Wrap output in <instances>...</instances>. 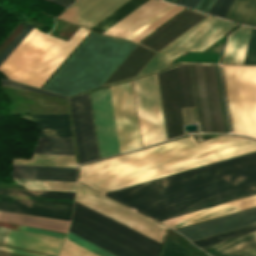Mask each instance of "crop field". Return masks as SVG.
<instances>
[{
	"label": "crop field",
	"mask_w": 256,
	"mask_h": 256,
	"mask_svg": "<svg viewBox=\"0 0 256 256\" xmlns=\"http://www.w3.org/2000/svg\"><path fill=\"white\" fill-rule=\"evenodd\" d=\"M256 191V152L105 193L152 219Z\"/></svg>",
	"instance_id": "obj_1"
},
{
	"label": "crop field",
	"mask_w": 256,
	"mask_h": 256,
	"mask_svg": "<svg viewBox=\"0 0 256 256\" xmlns=\"http://www.w3.org/2000/svg\"><path fill=\"white\" fill-rule=\"evenodd\" d=\"M135 45L91 33L44 89L72 96L99 87Z\"/></svg>",
	"instance_id": "obj_2"
},
{
	"label": "crop field",
	"mask_w": 256,
	"mask_h": 256,
	"mask_svg": "<svg viewBox=\"0 0 256 256\" xmlns=\"http://www.w3.org/2000/svg\"><path fill=\"white\" fill-rule=\"evenodd\" d=\"M120 152L140 148L131 81L110 87ZM109 87L90 93L100 156L119 152Z\"/></svg>",
	"instance_id": "obj_3"
},
{
	"label": "crop field",
	"mask_w": 256,
	"mask_h": 256,
	"mask_svg": "<svg viewBox=\"0 0 256 256\" xmlns=\"http://www.w3.org/2000/svg\"><path fill=\"white\" fill-rule=\"evenodd\" d=\"M87 32L80 27L66 42L34 28L2 63L0 71L12 80L40 87Z\"/></svg>",
	"instance_id": "obj_4"
},
{
	"label": "crop field",
	"mask_w": 256,
	"mask_h": 256,
	"mask_svg": "<svg viewBox=\"0 0 256 256\" xmlns=\"http://www.w3.org/2000/svg\"><path fill=\"white\" fill-rule=\"evenodd\" d=\"M244 140L220 136L196 144L190 136L81 166L80 181L87 184Z\"/></svg>",
	"instance_id": "obj_5"
},
{
	"label": "crop field",
	"mask_w": 256,
	"mask_h": 256,
	"mask_svg": "<svg viewBox=\"0 0 256 256\" xmlns=\"http://www.w3.org/2000/svg\"><path fill=\"white\" fill-rule=\"evenodd\" d=\"M255 150L256 142L248 140L87 185L104 193Z\"/></svg>",
	"instance_id": "obj_6"
},
{
	"label": "crop field",
	"mask_w": 256,
	"mask_h": 256,
	"mask_svg": "<svg viewBox=\"0 0 256 256\" xmlns=\"http://www.w3.org/2000/svg\"><path fill=\"white\" fill-rule=\"evenodd\" d=\"M222 68L233 134L256 138V66Z\"/></svg>",
	"instance_id": "obj_7"
},
{
	"label": "crop field",
	"mask_w": 256,
	"mask_h": 256,
	"mask_svg": "<svg viewBox=\"0 0 256 256\" xmlns=\"http://www.w3.org/2000/svg\"><path fill=\"white\" fill-rule=\"evenodd\" d=\"M196 107L189 108L200 133H225L214 64H189ZM186 109L188 123L189 115ZM183 123H187L183 108Z\"/></svg>",
	"instance_id": "obj_8"
},
{
	"label": "crop field",
	"mask_w": 256,
	"mask_h": 256,
	"mask_svg": "<svg viewBox=\"0 0 256 256\" xmlns=\"http://www.w3.org/2000/svg\"><path fill=\"white\" fill-rule=\"evenodd\" d=\"M206 14L184 10L142 43L125 59L103 85L133 78L152 56L166 44L203 19ZM102 85V86H103Z\"/></svg>",
	"instance_id": "obj_9"
},
{
	"label": "crop field",
	"mask_w": 256,
	"mask_h": 256,
	"mask_svg": "<svg viewBox=\"0 0 256 256\" xmlns=\"http://www.w3.org/2000/svg\"><path fill=\"white\" fill-rule=\"evenodd\" d=\"M238 24L207 16L188 31L165 46L146 64L139 75L168 66L170 61L185 51H202L234 29ZM173 61V60H172Z\"/></svg>",
	"instance_id": "obj_10"
},
{
	"label": "crop field",
	"mask_w": 256,
	"mask_h": 256,
	"mask_svg": "<svg viewBox=\"0 0 256 256\" xmlns=\"http://www.w3.org/2000/svg\"><path fill=\"white\" fill-rule=\"evenodd\" d=\"M72 220L145 256H158L160 243L76 201Z\"/></svg>",
	"instance_id": "obj_11"
},
{
	"label": "crop field",
	"mask_w": 256,
	"mask_h": 256,
	"mask_svg": "<svg viewBox=\"0 0 256 256\" xmlns=\"http://www.w3.org/2000/svg\"><path fill=\"white\" fill-rule=\"evenodd\" d=\"M143 146L165 141L156 73L133 81Z\"/></svg>",
	"instance_id": "obj_12"
},
{
	"label": "crop field",
	"mask_w": 256,
	"mask_h": 256,
	"mask_svg": "<svg viewBox=\"0 0 256 256\" xmlns=\"http://www.w3.org/2000/svg\"><path fill=\"white\" fill-rule=\"evenodd\" d=\"M76 201L161 243L164 227L77 185Z\"/></svg>",
	"instance_id": "obj_13"
},
{
	"label": "crop field",
	"mask_w": 256,
	"mask_h": 256,
	"mask_svg": "<svg viewBox=\"0 0 256 256\" xmlns=\"http://www.w3.org/2000/svg\"><path fill=\"white\" fill-rule=\"evenodd\" d=\"M79 162L99 158L88 93L69 99Z\"/></svg>",
	"instance_id": "obj_14"
},
{
	"label": "crop field",
	"mask_w": 256,
	"mask_h": 256,
	"mask_svg": "<svg viewBox=\"0 0 256 256\" xmlns=\"http://www.w3.org/2000/svg\"><path fill=\"white\" fill-rule=\"evenodd\" d=\"M168 139L182 136L183 125L174 69L158 73Z\"/></svg>",
	"instance_id": "obj_15"
},
{
	"label": "crop field",
	"mask_w": 256,
	"mask_h": 256,
	"mask_svg": "<svg viewBox=\"0 0 256 256\" xmlns=\"http://www.w3.org/2000/svg\"><path fill=\"white\" fill-rule=\"evenodd\" d=\"M0 198L18 200L0 201V211L51 217L70 221L73 203L4 197Z\"/></svg>",
	"instance_id": "obj_16"
},
{
	"label": "crop field",
	"mask_w": 256,
	"mask_h": 256,
	"mask_svg": "<svg viewBox=\"0 0 256 256\" xmlns=\"http://www.w3.org/2000/svg\"><path fill=\"white\" fill-rule=\"evenodd\" d=\"M256 223V209L176 230L190 241Z\"/></svg>",
	"instance_id": "obj_17"
},
{
	"label": "crop field",
	"mask_w": 256,
	"mask_h": 256,
	"mask_svg": "<svg viewBox=\"0 0 256 256\" xmlns=\"http://www.w3.org/2000/svg\"><path fill=\"white\" fill-rule=\"evenodd\" d=\"M63 240L64 239L61 238L48 237L12 229L5 244L58 255ZM2 249L29 256H44L6 247H3Z\"/></svg>",
	"instance_id": "obj_18"
},
{
	"label": "crop field",
	"mask_w": 256,
	"mask_h": 256,
	"mask_svg": "<svg viewBox=\"0 0 256 256\" xmlns=\"http://www.w3.org/2000/svg\"><path fill=\"white\" fill-rule=\"evenodd\" d=\"M254 206H256V195L161 222L174 229Z\"/></svg>",
	"instance_id": "obj_19"
},
{
	"label": "crop field",
	"mask_w": 256,
	"mask_h": 256,
	"mask_svg": "<svg viewBox=\"0 0 256 256\" xmlns=\"http://www.w3.org/2000/svg\"><path fill=\"white\" fill-rule=\"evenodd\" d=\"M169 5L170 4L156 0H149L147 3L107 30L105 34L125 38Z\"/></svg>",
	"instance_id": "obj_20"
},
{
	"label": "crop field",
	"mask_w": 256,
	"mask_h": 256,
	"mask_svg": "<svg viewBox=\"0 0 256 256\" xmlns=\"http://www.w3.org/2000/svg\"><path fill=\"white\" fill-rule=\"evenodd\" d=\"M12 177L76 182V169L13 165Z\"/></svg>",
	"instance_id": "obj_21"
},
{
	"label": "crop field",
	"mask_w": 256,
	"mask_h": 256,
	"mask_svg": "<svg viewBox=\"0 0 256 256\" xmlns=\"http://www.w3.org/2000/svg\"><path fill=\"white\" fill-rule=\"evenodd\" d=\"M34 123L39 136L71 137L68 115H22L17 116Z\"/></svg>",
	"instance_id": "obj_22"
},
{
	"label": "crop field",
	"mask_w": 256,
	"mask_h": 256,
	"mask_svg": "<svg viewBox=\"0 0 256 256\" xmlns=\"http://www.w3.org/2000/svg\"><path fill=\"white\" fill-rule=\"evenodd\" d=\"M78 236L100 246L115 256H141L75 222L72 221L70 230Z\"/></svg>",
	"instance_id": "obj_23"
},
{
	"label": "crop field",
	"mask_w": 256,
	"mask_h": 256,
	"mask_svg": "<svg viewBox=\"0 0 256 256\" xmlns=\"http://www.w3.org/2000/svg\"><path fill=\"white\" fill-rule=\"evenodd\" d=\"M0 221L34 226V227L64 232V233H66L70 223L68 221H62L57 219L34 217V216H27V215L6 213V212H2Z\"/></svg>",
	"instance_id": "obj_24"
},
{
	"label": "crop field",
	"mask_w": 256,
	"mask_h": 256,
	"mask_svg": "<svg viewBox=\"0 0 256 256\" xmlns=\"http://www.w3.org/2000/svg\"><path fill=\"white\" fill-rule=\"evenodd\" d=\"M251 28L242 26L228 40L223 63L242 64Z\"/></svg>",
	"instance_id": "obj_25"
},
{
	"label": "crop field",
	"mask_w": 256,
	"mask_h": 256,
	"mask_svg": "<svg viewBox=\"0 0 256 256\" xmlns=\"http://www.w3.org/2000/svg\"><path fill=\"white\" fill-rule=\"evenodd\" d=\"M253 246H256V232L201 249L211 256H225Z\"/></svg>",
	"instance_id": "obj_26"
},
{
	"label": "crop field",
	"mask_w": 256,
	"mask_h": 256,
	"mask_svg": "<svg viewBox=\"0 0 256 256\" xmlns=\"http://www.w3.org/2000/svg\"><path fill=\"white\" fill-rule=\"evenodd\" d=\"M224 19L256 26V0H234Z\"/></svg>",
	"instance_id": "obj_27"
},
{
	"label": "crop field",
	"mask_w": 256,
	"mask_h": 256,
	"mask_svg": "<svg viewBox=\"0 0 256 256\" xmlns=\"http://www.w3.org/2000/svg\"><path fill=\"white\" fill-rule=\"evenodd\" d=\"M32 153L74 155L71 138L40 137Z\"/></svg>",
	"instance_id": "obj_28"
},
{
	"label": "crop field",
	"mask_w": 256,
	"mask_h": 256,
	"mask_svg": "<svg viewBox=\"0 0 256 256\" xmlns=\"http://www.w3.org/2000/svg\"><path fill=\"white\" fill-rule=\"evenodd\" d=\"M174 69L181 107L195 106L188 64L182 63Z\"/></svg>",
	"instance_id": "obj_29"
},
{
	"label": "crop field",
	"mask_w": 256,
	"mask_h": 256,
	"mask_svg": "<svg viewBox=\"0 0 256 256\" xmlns=\"http://www.w3.org/2000/svg\"><path fill=\"white\" fill-rule=\"evenodd\" d=\"M13 164L76 168L74 156L34 154L30 160L14 159Z\"/></svg>",
	"instance_id": "obj_30"
},
{
	"label": "crop field",
	"mask_w": 256,
	"mask_h": 256,
	"mask_svg": "<svg viewBox=\"0 0 256 256\" xmlns=\"http://www.w3.org/2000/svg\"><path fill=\"white\" fill-rule=\"evenodd\" d=\"M146 1L130 0L90 29L103 33Z\"/></svg>",
	"instance_id": "obj_31"
},
{
	"label": "crop field",
	"mask_w": 256,
	"mask_h": 256,
	"mask_svg": "<svg viewBox=\"0 0 256 256\" xmlns=\"http://www.w3.org/2000/svg\"><path fill=\"white\" fill-rule=\"evenodd\" d=\"M16 182L29 189L41 190H57L75 192L76 183L69 182H53V181H37V180H21L15 179Z\"/></svg>",
	"instance_id": "obj_32"
},
{
	"label": "crop field",
	"mask_w": 256,
	"mask_h": 256,
	"mask_svg": "<svg viewBox=\"0 0 256 256\" xmlns=\"http://www.w3.org/2000/svg\"><path fill=\"white\" fill-rule=\"evenodd\" d=\"M253 231H256V224L250 225V226H247V227H243V228H239V229H236V230L228 231V232H225V233H221V234H218V235L210 236V237L203 238V239H200V240L192 241V243H194L196 246L201 248V247L213 244V243H217V242H220V241H223V240H226V239H229V238H233V237H236V236H239V235H243V234H246V233H250V232H253Z\"/></svg>",
	"instance_id": "obj_33"
},
{
	"label": "crop field",
	"mask_w": 256,
	"mask_h": 256,
	"mask_svg": "<svg viewBox=\"0 0 256 256\" xmlns=\"http://www.w3.org/2000/svg\"><path fill=\"white\" fill-rule=\"evenodd\" d=\"M0 194H13V195H28L60 199H74L75 194L70 193H57V192H41L31 190H17V189H0Z\"/></svg>",
	"instance_id": "obj_34"
},
{
	"label": "crop field",
	"mask_w": 256,
	"mask_h": 256,
	"mask_svg": "<svg viewBox=\"0 0 256 256\" xmlns=\"http://www.w3.org/2000/svg\"><path fill=\"white\" fill-rule=\"evenodd\" d=\"M182 9H183V7H179V6L174 7L168 13L163 15L161 18H159L154 23H152L150 26H148L143 31H141L136 36H134L131 40L136 41V42L141 41L143 38H145L147 35H149L151 32H153L155 29H157L159 26H161L163 23H165L167 20H169L171 17H173L175 14H177Z\"/></svg>",
	"instance_id": "obj_35"
},
{
	"label": "crop field",
	"mask_w": 256,
	"mask_h": 256,
	"mask_svg": "<svg viewBox=\"0 0 256 256\" xmlns=\"http://www.w3.org/2000/svg\"><path fill=\"white\" fill-rule=\"evenodd\" d=\"M66 239L80 245L81 247L95 253L98 256H113V255L109 254L108 252L98 248L97 246L89 243L88 241L74 235L71 232H68V235H67Z\"/></svg>",
	"instance_id": "obj_36"
},
{
	"label": "crop field",
	"mask_w": 256,
	"mask_h": 256,
	"mask_svg": "<svg viewBox=\"0 0 256 256\" xmlns=\"http://www.w3.org/2000/svg\"><path fill=\"white\" fill-rule=\"evenodd\" d=\"M161 256H194L191 253L187 252L175 242L166 238L164 249Z\"/></svg>",
	"instance_id": "obj_37"
},
{
	"label": "crop field",
	"mask_w": 256,
	"mask_h": 256,
	"mask_svg": "<svg viewBox=\"0 0 256 256\" xmlns=\"http://www.w3.org/2000/svg\"><path fill=\"white\" fill-rule=\"evenodd\" d=\"M243 64H256V29L251 30Z\"/></svg>",
	"instance_id": "obj_38"
},
{
	"label": "crop field",
	"mask_w": 256,
	"mask_h": 256,
	"mask_svg": "<svg viewBox=\"0 0 256 256\" xmlns=\"http://www.w3.org/2000/svg\"><path fill=\"white\" fill-rule=\"evenodd\" d=\"M32 29H33V27H31L28 24L25 26V28L20 32V34L13 40V42L0 55V65L10 55V53L20 44V42L28 35V33Z\"/></svg>",
	"instance_id": "obj_39"
},
{
	"label": "crop field",
	"mask_w": 256,
	"mask_h": 256,
	"mask_svg": "<svg viewBox=\"0 0 256 256\" xmlns=\"http://www.w3.org/2000/svg\"><path fill=\"white\" fill-rule=\"evenodd\" d=\"M232 1L233 0H216L207 13L223 18Z\"/></svg>",
	"instance_id": "obj_40"
},
{
	"label": "crop field",
	"mask_w": 256,
	"mask_h": 256,
	"mask_svg": "<svg viewBox=\"0 0 256 256\" xmlns=\"http://www.w3.org/2000/svg\"><path fill=\"white\" fill-rule=\"evenodd\" d=\"M255 194H256V192L245 194V195H242V196L234 197V198L227 199V200H224V201H221V202H217V203H214V204L202 206V207H199V208L191 209V210H188V211H184V212H181V213L173 214V215L166 216V217L159 218V219H155V220L161 221V220L169 219V218H172V217H176V216L187 214V213L194 212V211H197V210H201V209H205V208H208V207L216 206V205H219V204L234 201V200L241 199V198L248 197V196H252V195H255Z\"/></svg>",
	"instance_id": "obj_41"
},
{
	"label": "crop field",
	"mask_w": 256,
	"mask_h": 256,
	"mask_svg": "<svg viewBox=\"0 0 256 256\" xmlns=\"http://www.w3.org/2000/svg\"><path fill=\"white\" fill-rule=\"evenodd\" d=\"M62 250L66 251L74 256H96L68 240H65Z\"/></svg>",
	"instance_id": "obj_42"
},
{
	"label": "crop field",
	"mask_w": 256,
	"mask_h": 256,
	"mask_svg": "<svg viewBox=\"0 0 256 256\" xmlns=\"http://www.w3.org/2000/svg\"><path fill=\"white\" fill-rule=\"evenodd\" d=\"M1 81H2V84H4V85L13 86V87L21 88V89H26V90H30V91H35V92H39V93L48 94V95L57 96V97L67 99L66 96L54 94V93L47 92V91H44V90H41V89H37V88L17 84V83H14V82H11V81H8V80H4V79H1Z\"/></svg>",
	"instance_id": "obj_43"
},
{
	"label": "crop field",
	"mask_w": 256,
	"mask_h": 256,
	"mask_svg": "<svg viewBox=\"0 0 256 256\" xmlns=\"http://www.w3.org/2000/svg\"><path fill=\"white\" fill-rule=\"evenodd\" d=\"M17 229L24 230V231H29V232H34V233H39V234H44V235H48V236L61 237V238H64L65 235H66L64 233L53 232V231H48V230L23 226V225H19Z\"/></svg>",
	"instance_id": "obj_44"
},
{
	"label": "crop field",
	"mask_w": 256,
	"mask_h": 256,
	"mask_svg": "<svg viewBox=\"0 0 256 256\" xmlns=\"http://www.w3.org/2000/svg\"><path fill=\"white\" fill-rule=\"evenodd\" d=\"M215 67H216V73H217V79H218V86H219V92H220V98H221V105H222V111H223V118H224L225 130H226V133H229L228 123H227V117H226V111H225V105H224V99H223L222 88H221V82H220L219 69H218V66H217V65H215Z\"/></svg>",
	"instance_id": "obj_45"
},
{
	"label": "crop field",
	"mask_w": 256,
	"mask_h": 256,
	"mask_svg": "<svg viewBox=\"0 0 256 256\" xmlns=\"http://www.w3.org/2000/svg\"><path fill=\"white\" fill-rule=\"evenodd\" d=\"M174 7V5L169 6L167 9H165L164 11H162L161 13H159L157 16H155L154 18H152L150 21H148L147 23H145L143 26H141L140 28H138L137 30H135L133 33H131L128 37H126L127 39L132 38L134 35H136L138 32H140L141 30H143L145 27H147L148 25H150L152 22H154L156 19H158L159 17H161L163 14H165L166 12H168L170 9H172Z\"/></svg>",
	"instance_id": "obj_46"
},
{
	"label": "crop field",
	"mask_w": 256,
	"mask_h": 256,
	"mask_svg": "<svg viewBox=\"0 0 256 256\" xmlns=\"http://www.w3.org/2000/svg\"><path fill=\"white\" fill-rule=\"evenodd\" d=\"M213 2L214 0H200L198 5L195 7V10L206 13Z\"/></svg>",
	"instance_id": "obj_47"
},
{
	"label": "crop field",
	"mask_w": 256,
	"mask_h": 256,
	"mask_svg": "<svg viewBox=\"0 0 256 256\" xmlns=\"http://www.w3.org/2000/svg\"><path fill=\"white\" fill-rule=\"evenodd\" d=\"M198 2L199 0H179L177 2V5L194 9V7L197 5Z\"/></svg>",
	"instance_id": "obj_48"
},
{
	"label": "crop field",
	"mask_w": 256,
	"mask_h": 256,
	"mask_svg": "<svg viewBox=\"0 0 256 256\" xmlns=\"http://www.w3.org/2000/svg\"><path fill=\"white\" fill-rule=\"evenodd\" d=\"M230 256H256V247L230 255Z\"/></svg>",
	"instance_id": "obj_49"
},
{
	"label": "crop field",
	"mask_w": 256,
	"mask_h": 256,
	"mask_svg": "<svg viewBox=\"0 0 256 256\" xmlns=\"http://www.w3.org/2000/svg\"><path fill=\"white\" fill-rule=\"evenodd\" d=\"M52 3H55L57 5H60L64 8H66L67 6H69L72 2H74V0H48Z\"/></svg>",
	"instance_id": "obj_50"
},
{
	"label": "crop field",
	"mask_w": 256,
	"mask_h": 256,
	"mask_svg": "<svg viewBox=\"0 0 256 256\" xmlns=\"http://www.w3.org/2000/svg\"><path fill=\"white\" fill-rule=\"evenodd\" d=\"M0 196L17 197V198H30V199L59 200V201H69V202H73L74 201V200H60V199H49V198L28 197V196H6V195H0Z\"/></svg>",
	"instance_id": "obj_51"
},
{
	"label": "crop field",
	"mask_w": 256,
	"mask_h": 256,
	"mask_svg": "<svg viewBox=\"0 0 256 256\" xmlns=\"http://www.w3.org/2000/svg\"><path fill=\"white\" fill-rule=\"evenodd\" d=\"M60 256H72V255H70V254H68V253H66V252H64V251H61Z\"/></svg>",
	"instance_id": "obj_52"
},
{
	"label": "crop field",
	"mask_w": 256,
	"mask_h": 256,
	"mask_svg": "<svg viewBox=\"0 0 256 256\" xmlns=\"http://www.w3.org/2000/svg\"><path fill=\"white\" fill-rule=\"evenodd\" d=\"M164 1H168V2L174 3L175 0H164Z\"/></svg>",
	"instance_id": "obj_53"
}]
</instances>
